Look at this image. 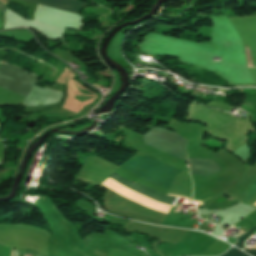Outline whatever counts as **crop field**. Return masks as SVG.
I'll list each match as a JSON object with an SVG mask.
<instances>
[{
	"label": "crop field",
	"mask_w": 256,
	"mask_h": 256,
	"mask_svg": "<svg viewBox=\"0 0 256 256\" xmlns=\"http://www.w3.org/2000/svg\"><path fill=\"white\" fill-rule=\"evenodd\" d=\"M13 253V252H12ZM18 256V255H17Z\"/></svg>",
	"instance_id": "cbeb9de0"
},
{
	"label": "crop field",
	"mask_w": 256,
	"mask_h": 256,
	"mask_svg": "<svg viewBox=\"0 0 256 256\" xmlns=\"http://www.w3.org/2000/svg\"><path fill=\"white\" fill-rule=\"evenodd\" d=\"M250 249L253 250V249H256V247L250 248ZM251 250L244 249L243 251L247 252L248 254H250L252 256H256V250H253V251H251Z\"/></svg>",
	"instance_id": "3316defc"
},
{
	"label": "crop field",
	"mask_w": 256,
	"mask_h": 256,
	"mask_svg": "<svg viewBox=\"0 0 256 256\" xmlns=\"http://www.w3.org/2000/svg\"><path fill=\"white\" fill-rule=\"evenodd\" d=\"M222 256H248V255L244 254L243 252H241L235 248H231L229 251H227Z\"/></svg>",
	"instance_id": "5a996713"
},
{
	"label": "crop field",
	"mask_w": 256,
	"mask_h": 256,
	"mask_svg": "<svg viewBox=\"0 0 256 256\" xmlns=\"http://www.w3.org/2000/svg\"><path fill=\"white\" fill-rule=\"evenodd\" d=\"M78 12L85 4L76 0H23Z\"/></svg>",
	"instance_id": "dd49c442"
},
{
	"label": "crop field",
	"mask_w": 256,
	"mask_h": 256,
	"mask_svg": "<svg viewBox=\"0 0 256 256\" xmlns=\"http://www.w3.org/2000/svg\"><path fill=\"white\" fill-rule=\"evenodd\" d=\"M144 144L173 155L187 162L185 148L187 140L169 130L152 127L144 136Z\"/></svg>",
	"instance_id": "8a807250"
},
{
	"label": "crop field",
	"mask_w": 256,
	"mask_h": 256,
	"mask_svg": "<svg viewBox=\"0 0 256 256\" xmlns=\"http://www.w3.org/2000/svg\"><path fill=\"white\" fill-rule=\"evenodd\" d=\"M0 28H3V22L0 21Z\"/></svg>",
	"instance_id": "d1516ede"
},
{
	"label": "crop field",
	"mask_w": 256,
	"mask_h": 256,
	"mask_svg": "<svg viewBox=\"0 0 256 256\" xmlns=\"http://www.w3.org/2000/svg\"><path fill=\"white\" fill-rule=\"evenodd\" d=\"M170 195V194H169ZM174 196V195H173ZM177 197H179V196H177ZM188 199V198H187Z\"/></svg>",
	"instance_id": "22f410ed"
},
{
	"label": "crop field",
	"mask_w": 256,
	"mask_h": 256,
	"mask_svg": "<svg viewBox=\"0 0 256 256\" xmlns=\"http://www.w3.org/2000/svg\"><path fill=\"white\" fill-rule=\"evenodd\" d=\"M255 195H256V182L250 186L248 191V196L244 201H242V203L247 204ZM254 205H256V203Z\"/></svg>",
	"instance_id": "d8731c3e"
},
{
	"label": "crop field",
	"mask_w": 256,
	"mask_h": 256,
	"mask_svg": "<svg viewBox=\"0 0 256 256\" xmlns=\"http://www.w3.org/2000/svg\"><path fill=\"white\" fill-rule=\"evenodd\" d=\"M36 79L37 77L12 66H0V86L25 97Z\"/></svg>",
	"instance_id": "ac0d7876"
},
{
	"label": "crop field",
	"mask_w": 256,
	"mask_h": 256,
	"mask_svg": "<svg viewBox=\"0 0 256 256\" xmlns=\"http://www.w3.org/2000/svg\"><path fill=\"white\" fill-rule=\"evenodd\" d=\"M63 93L47 88L33 87L29 92L24 102L23 106H40L55 104L61 100Z\"/></svg>",
	"instance_id": "34b2d1b8"
},
{
	"label": "crop field",
	"mask_w": 256,
	"mask_h": 256,
	"mask_svg": "<svg viewBox=\"0 0 256 256\" xmlns=\"http://www.w3.org/2000/svg\"><path fill=\"white\" fill-rule=\"evenodd\" d=\"M254 230H256L255 227L252 228L248 233H246V234H244V235L238 237V238H237V239H238V242H237L234 246H236V247L242 249L241 246H243V243L249 238V236H250L252 233H254V232H253Z\"/></svg>",
	"instance_id": "e52e79f7"
},
{
	"label": "crop field",
	"mask_w": 256,
	"mask_h": 256,
	"mask_svg": "<svg viewBox=\"0 0 256 256\" xmlns=\"http://www.w3.org/2000/svg\"><path fill=\"white\" fill-rule=\"evenodd\" d=\"M256 227V226H255Z\"/></svg>",
	"instance_id": "5142ce71"
},
{
	"label": "crop field",
	"mask_w": 256,
	"mask_h": 256,
	"mask_svg": "<svg viewBox=\"0 0 256 256\" xmlns=\"http://www.w3.org/2000/svg\"><path fill=\"white\" fill-rule=\"evenodd\" d=\"M190 174L210 176L220 170V166L211 159L188 158Z\"/></svg>",
	"instance_id": "f4fd0767"
},
{
	"label": "crop field",
	"mask_w": 256,
	"mask_h": 256,
	"mask_svg": "<svg viewBox=\"0 0 256 256\" xmlns=\"http://www.w3.org/2000/svg\"><path fill=\"white\" fill-rule=\"evenodd\" d=\"M110 177L117 180L118 182L124 184L125 186H127V187H129V188H131V189L149 197V198H152V199H155V200H158V201L170 204V205H172V203L175 199L173 197H169V196L159 194L156 191H154L150 188L144 187V186H142V185H140L136 182H135V184L131 183V181H128V180H126V179H124V178H122V177H120V176H118L114 173Z\"/></svg>",
	"instance_id": "412701ff"
},
{
	"label": "crop field",
	"mask_w": 256,
	"mask_h": 256,
	"mask_svg": "<svg viewBox=\"0 0 256 256\" xmlns=\"http://www.w3.org/2000/svg\"><path fill=\"white\" fill-rule=\"evenodd\" d=\"M6 3H7V0H0V4H1V5L5 6ZM1 5H0V11H1V12H4L6 6L3 7V6H1Z\"/></svg>",
	"instance_id": "28ad6ade"
}]
</instances>
